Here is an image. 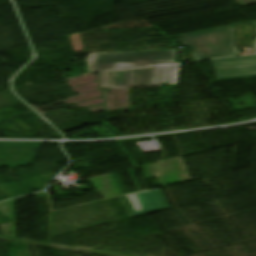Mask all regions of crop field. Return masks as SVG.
<instances>
[{"instance_id": "obj_3", "label": "crop field", "mask_w": 256, "mask_h": 256, "mask_svg": "<svg viewBox=\"0 0 256 256\" xmlns=\"http://www.w3.org/2000/svg\"><path fill=\"white\" fill-rule=\"evenodd\" d=\"M218 79L256 75V56L212 61Z\"/></svg>"}, {"instance_id": "obj_2", "label": "crop field", "mask_w": 256, "mask_h": 256, "mask_svg": "<svg viewBox=\"0 0 256 256\" xmlns=\"http://www.w3.org/2000/svg\"><path fill=\"white\" fill-rule=\"evenodd\" d=\"M195 60L238 55L231 26L182 35Z\"/></svg>"}, {"instance_id": "obj_5", "label": "crop field", "mask_w": 256, "mask_h": 256, "mask_svg": "<svg viewBox=\"0 0 256 256\" xmlns=\"http://www.w3.org/2000/svg\"><path fill=\"white\" fill-rule=\"evenodd\" d=\"M255 24H256V22H255ZM254 47H255V50H256V40H255V42H254Z\"/></svg>"}, {"instance_id": "obj_1", "label": "crop field", "mask_w": 256, "mask_h": 256, "mask_svg": "<svg viewBox=\"0 0 256 256\" xmlns=\"http://www.w3.org/2000/svg\"><path fill=\"white\" fill-rule=\"evenodd\" d=\"M175 50L108 54L91 58L92 72H100L102 88L175 83Z\"/></svg>"}, {"instance_id": "obj_4", "label": "crop field", "mask_w": 256, "mask_h": 256, "mask_svg": "<svg viewBox=\"0 0 256 256\" xmlns=\"http://www.w3.org/2000/svg\"><path fill=\"white\" fill-rule=\"evenodd\" d=\"M234 1L240 6L256 3V0H234Z\"/></svg>"}]
</instances>
